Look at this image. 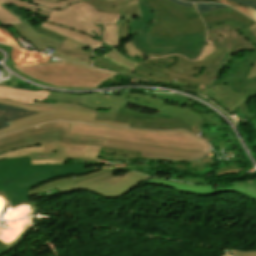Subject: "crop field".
Returning <instances> with one entry per match:
<instances>
[{"mask_svg": "<svg viewBox=\"0 0 256 256\" xmlns=\"http://www.w3.org/2000/svg\"><path fill=\"white\" fill-rule=\"evenodd\" d=\"M68 135L104 138L105 147L164 156L196 159L209 152L207 142L180 130L148 131L71 122Z\"/></svg>", "mask_w": 256, "mask_h": 256, "instance_id": "obj_1", "label": "crop field"}, {"mask_svg": "<svg viewBox=\"0 0 256 256\" xmlns=\"http://www.w3.org/2000/svg\"><path fill=\"white\" fill-rule=\"evenodd\" d=\"M85 165H31L30 157L12 158L0 161V190L11 205L22 200L29 201V188L52 178L70 174H84L99 168L84 169ZM103 168V167H102Z\"/></svg>", "mask_w": 256, "mask_h": 256, "instance_id": "obj_2", "label": "crop field"}, {"mask_svg": "<svg viewBox=\"0 0 256 256\" xmlns=\"http://www.w3.org/2000/svg\"><path fill=\"white\" fill-rule=\"evenodd\" d=\"M126 173L122 176H114L113 170H108L107 167L89 176H79L78 179H61L43 184L29 190V196L57 187L61 195L84 189L104 197L115 198L128 193L138 183L150 177L133 171H126Z\"/></svg>", "mask_w": 256, "mask_h": 256, "instance_id": "obj_3", "label": "crop field"}, {"mask_svg": "<svg viewBox=\"0 0 256 256\" xmlns=\"http://www.w3.org/2000/svg\"><path fill=\"white\" fill-rule=\"evenodd\" d=\"M239 30L240 28L226 25L208 33L207 45L197 59L202 60L201 76L209 79L206 86L213 84L212 79L221 74L231 55L241 51L256 50V47Z\"/></svg>", "mask_w": 256, "mask_h": 256, "instance_id": "obj_4", "label": "crop field"}, {"mask_svg": "<svg viewBox=\"0 0 256 256\" xmlns=\"http://www.w3.org/2000/svg\"><path fill=\"white\" fill-rule=\"evenodd\" d=\"M17 70L41 82L61 87L96 88L104 80L115 76L66 61L17 67Z\"/></svg>", "mask_w": 256, "mask_h": 256, "instance_id": "obj_5", "label": "crop field"}, {"mask_svg": "<svg viewBox=\"0 0 256 256\" xmlns=\"http://www.w3.org/2000/svg\"><path fill=\"white\" fill-rule=\"evenodd\" d=\"M70 122H49L0 138V153L23 146L53 142L101 146L103 139L67 136Z\"/></svg>", "mask_w": 256, "mask_h": 256, "instance_id": "obj_6", "label": "crop field"}, {"mask_svg": "<svg viewBox=\"0 0 256 256\" xmlns=\"http://www.w3.org/2000/svg\"><path fill=\"white\" fill-rule=\"evenodd\" d=\"M120 17V14L96 12L86 2H76L65 9L52 10L47 21L99 37L101 35L100 28L93 23L115 24Z\"/></svg>", "mask_w": 256, "mask_h": 256, "instance_id": "obj_7", "label": "crop field"}, {"mask_svg": "<svg viewBox=\"0 0 256 256\" xmlns=\"http://www.w3.org/2000/svg\"><path fill=\"white\" fill-rule=\"evenodd\" d=\"M117 97L130 100V104L159 111L158 115H166L185 121L191 127L196 126L197 122L203 120L205 125L222 124L223 121L210 111L188 101L187 107L180 108L173 105L164 104V100L153 96L139 93H126Z\"/></svg>", "mask_w": 256, "mask_h": 256, "instance_id": "obj_8", "label": "crop field"}, {"mask_svg": "<svg viewBox=\"0 0 256 256\" xmlns=\"http://www.w3.org/2000/svg\"><path fill=\"white\" fill-rule=\"evenodd\" d=\"M0 103L40 112L38 114L31 115V116L10 122L9 124L11 126L0 129V136L28 127V126L40 124V123L51 121V120H71V121H77V122L115 125V126H124V127H128L129 125V124L94 121L96 116L95 114H86V113L76 112L72 110L45 108V107H39L35 105H26V104L17 103V102L8 101V100H2V99H0Z\"/></svg>", "mask_w": 256, "mask_h": 256, "instance_id": "obj_9", "label": "crop field"}, {"mask_svg": "<svg viewBox=\"0 0 256 256\" xmlns=\"http://www.w3.org/2000/svg\"><path fill=\"white\" fill-rule=\"evenodd\" d=\"M100 148L101 147L54 143L23 147L5 152L0 154V159L22 156H31V160L56 158L99 159Z\"/></svg>", "mask_w": 256, "mask_h": 256, "instance_id": "obj_10", "label": "crop field"}, {"mask_svg": "<svg viewBox=\"0 0 256 256\" xmlns=\"http://www.w3.org/2000/svg\"><path fill=\"white\" fill-rule=\"evenodd\" d=\"M143 18H136L130 24V40L133 45L148 57H162L172 54H180L188 59L194 60L198 57L203 45L183 47V48H166V49H150L144 40V31L149 20H152L153 13L150 7L143 0H138Z\"/></svg>", "mask_w": 256, "mask_h": 256, "instance_id": "obj_11", "label": "crop field"}, {"mask_svg": "<svg viewBox=\"0 0 256 256\" xmlns=\"http://www.w3.org/2000/svg\"><path fill=\"white\" fill-rule=\"evenodd\" d=\"M198 126L200 127L201 131H203L211 141L210 144L218 154L219 158L221 155L220 148H223L224 153L233 151L236 156V157L228 158L229 160L225 161V156L223 154V158L221 160L225 162L221 164V166H219V169L217 168L213 169L215 174L218 176L225 173L239 172V168L236 162L246 163V161L238 145L236 144L234 138L232 137L230 131L228 130L227 126L225 124L214 125V126H204L203 122L198 123ZM215 158L216 160H218L216 155H215Z\"/></svg>", "mask_w": 256, "mask_h": 256, "instance_id": "obj_12", "label": "crop field"}, {"mask_svg": "<svg viewBox=\"0 0 256 256\" xmlns=\"http://www.w3.org/2000/svg\"><path fill=\"white\" fill-rule=\"evenodd\" d=\"M92 5L97 11L121 13L122 18L116 23L118 29V45L121 40L129 38V24L136 18L142 17L137 0H83Z\"/></svg>", "mask_w": 256, "mask_h": 256, "instance_id": "obj_13", "label": "crop field"}, {"mask_svg": "<svg viewBox=\"0 0 256 256\" xmlns=\"http://www.w3.org/2000/svg\"><path fill=\"white\" fill-rule=\"evenodd\" d=\"M115 122L130 123L129 127L133 128L162 130L186 129L193 132L189 125L178 119L138 113L122 107L119 108Z\"/></svg>", "mask_w": 256, "mask_h": 256, "instance_id": "obj_14", "label": "crop field"}, {"mask_svg": "<svg viewBox=\"0 0 256 256\" xmlns=\"http://www.w3.org/2000/svg\"><path fill=\"white\" fill-rule=\"evenodd\" d=\"M205 93L208 94L218 105L226 112L233 113L236 107H240L242 112L251 120L255 117L248 105L247 101L250 97L256 96V92H241L236 94L232 91L229 85L209 86L205 88ZM228 107L230 110H228Z\"/></svg>", "mask_w": 256, "mask_h": 256, "instance_id": "obj_15", "label": "crop field"}, {"mask_svg": "<svg viewBox=\"0 0 256 256\" xmlns=\"http://www.w3.org/2000/svg\"><path fill=\"white\" fill-rule=\"evenodd\" d=\"M205 30L201 18L190 20H178L169 17L154 23L150 34L159 39H174V35H187Z\"/></svg>", "mask_w": 256, "mask_h": 256, "instance_id": "obj_16", "label": "crop field"}, {"mask_svg": "<svg viewBox=\"0 0 256 256\" xmlns=\"http://www.w3.org/2000/svg\"><path fill=\"white\" fill-rule=\"evenodd\" d=\"M30 24V23H29ZM37 32L54 38L63 42L53 53L51 56L90 65L92 61V51H86L85 46L74 42L68 38H65L61 35L55 34L48 30L42 29L40 27H36L30 24Z\"/></svg>", "mask_w": 256, "mask_h": 256, "instance_id": "obj_17", "label": "crop field"}, {"mask_svg": "<svg viewBox=\"0 0 256 256\" xmlns=\"http://www.w3.org/2000/svg\"><path fill=\"white\" fill-rule=\"evenodd\" d=\"M48 99L70 103H80L86 107H92L101 110H109L111 105L127 107L128 104V100L98 93L84 96H76L70 94H60L51 92Z\"/></svg>", "mask_w": 256, "mask_h": 256, "instance_id": "obj_18", "label": "crop field"}, {"mask_svg": "<svg viewBox=\"0 0 256 256\" xmlns=\"http://www.w3.org/2000/svg\"><path fill=\"white\" fill-rule=\"evenodd\" d=\"M154 13L153 22L160 21L169 16L179 19L199 17L195 8L180 7L169 0H145Z\"/></svg>", "mask_w": 256, "mask_h": 256, "instance_id": "obj_19", "label": "crop field"}, {"mask_svg": "<svg viewBox=\"0 0 256 256\" xmlns=\"http://www.w3.org/2000/svg\"><path fill=\"white\" fill-rule=\"evenodd\" d=\"M205 34L206 30L188 36H175V40H159L149 33H145V39L151 48L183 47L205 43Z\"/></svg>", "mask_w": 256, "mask_h": 256, "instance_id": "obj_20", "label": "crop field"}, {"mask_svg": "<svg viewBox=\"0 0 256 256\" xmlns=\"http://www.w3.org/2000/svg\"><path fill=\"white\" fill-rule=\"evenodd\" d=\"M145 184H157V185L173 188L176 190H180L183 192H187L194 195H200V196L216 195V194L225 192V188L213 190L212 185L202 186V185L183 184V183L164 180L160 178H150L138 186L145 185Z\"/></svg>", "mask_w": 256, "mask_h": 256, "instance_id": "obj_21", "label": "crop field"}, {"mask_svg": "<svg viewBox=\"0 0 256 256\" xmlns=\"http://www.w3.org/2000/svg\"><path fill=\"white\" fill-rule=\"evenodd\" d=\"M14 27L22 37L28 40L39 52L43 53L44 48L47 47L56 49L61 44L59 41L37 33L27 22Z\"/></svg>", "mask_w": 256, "mask_h": 256, "instance_id": "obj_22", "label": "crop field"}, {"mask_svg": "<svg viewBox=\"0 0 256 256\" xmlns=\"http://www.w3.org/2000/svg\"><path fill=\"white\" fill-rule=\"evenodd\" d=\"M40 25L47 29H50L56 33H59L63 36H66L70 39H73L79 43H82L86 46L94 47V48H101V49L105 48V44L102 41H100L98 38L96 39L92 36L86 35L83 32L71 30L69 28L54 25V24L48 23V22H43Z\"/></svg>", "mask_w": 256, "mask_h": 256, "instance_id": "obj_23", "label": "crop field"}, {"mask_svg": "<svg viewBox=\"0 0 256 256\" xmlns=\"http://www.w3.org/2000/svg\"><path fill=\"white\" fill-rule=\"evenodd\" d=\"M48 94V91L32 92L0 87V98L9 99L26 104H33L34 100L46 102Z\"/></svg>", "mask_w": 256, "mask_h": 256, "instance_id": "obj_24", "label": "crop field"}, {"mask_svg": "<svg viewBox=\"0 0 256 256\" xmlns=\"http://www.w3.org/2000/svg\"><path fill=\"white\" fill-rule=\"evenodd\" d=\"M201 17L203 18L205 23L228 19V18H232V19H235L237 21H240V22H243V23H246L249 25L256 23L251 18L247 17L246 15H244L230 7L202 14Z\"/></svg>", "mask_w": 256, "mask_h": 256, "instance_id": "obj_25", "label": "crop field"}, {"mask_svg": "<svg viewBox=\"0 0 256 256\" xmlns=\"http://www.w3.org/2000/svg\"><path fill=\"white\" fill-rule=\"evenodd\" d=\"M11 57L15 64L18 66L44 63L47 62V60L49 59V56L41 55L15 47L13 48Z\"/></svg>", "mask_w": 256, "mask_h": 256, "instance_id": "obj_26", "label": "crop field"}, {"mask_svg": "<svg viewBox=\"0 0 256 256\" xmlns=\"http://www.w3.org/2000/svg\"><path fill=\"white\" fill-rule=\"evenodd\" d=\"M213 157H208L202 161H193L187 164H172L170 167L175 169L187 170L190 173L205 174L214 168Z\"/></svg>", "mask_w": 256, "mask_h": 256, "instance_id": "obj_27", "label": "crop field"}, {"mask_svg": "<svg viewBox=\"0 0 256 256\" xmlns=\"http://www.w3.org/2000/svg\"><path fill=\"white\" fill-rule=\"evenodd\" d=\"M35 113L37 112L0 104V128L9 126L7 122Z\"/></svg>", "mask_w": 256, "mask_h": 256, "instance_id": "obj_28", "label": "crop field"}, {"mask_svg": "<svg viewBox=\"0 0 256 256\" xmlns=\"http://www.w3.org/2000/svg\"><path fill=\"white\" fill-rule=\"evenodd\" d=\"M253 61L245 60L241 62L234 61L229 67L226 68L225 71L222 72L221 76H219L213 85L225 84L228 76L240 77L242 72H239L242 66L251 67L253 65Z\"/></svg>", "mask_w": 256, "mask_h": 256, "instance_id": "obj_29", "label": "crop field"}, {"mask_svg": "<svg viewBox=\"0 0 256 256\" xmlns=\"http://www.w3.org/2000/svg\"><path fill=\"white\" fill-rule=\"evenodd\" d=\"M226 192H236L256 200V180L235 182L232 188H226Z\"/></svg>", "mask_w": 256, "mask_h": 256, "instance_id": "obj_30", "label": "crop field"}, {"mask_svg": "<svg viewBox=\"0 0 256 256\" xmlns=\"http://www.w3.org/2000/svg\"><path fill=\"white\" fill-rule=\"evenodd\" d=\"M104 58H107L129 70H131L133 67H135L139 62L142 61L140 58H132L127 56H123L121 53H119L116 49L113 51H109L104 55Z\"/></svg>", "mask_w": 256, "mask_h": 256, "instance_id": "obj_31", "label": "crop field"}, {"mask_svg": "<svg viewBox=\"0 0 256 256\" xmlns=\"http://www.w3.org/2000/svg\"><path fill=\"white\" fill-rule=\"evenodd\" d=\"M233 25V26H237L242 28L240 31L241 33L246 36L250 42H252L255 46H256V42L254 40H256V38L254 37V35L249 31V29L247 27H249V25L234 21L232 19H228V20H223V21H218V22H213V23H208L206 24L208 27V31L220 26V25Z\"/></svg>", "mask_w": 256, "mask_h": 256, "instance_id": "obj_32", "label": "crop field"}, {"mask_svg": "<svg viewBox=\"0 0 256 256\" xmlns=\"http://www.w3.org/2000/svg\"><path fill=\"white\" fill-rule=\"evenodd\" d=\"M164 72L166 74L174 77L173 79L178 80L177 81L178 83L195 86V87H197V89H203L204 85L207 81L206 79H204L200 76H184V75L175 74L168 70H165Z\"/></svg>", "mask_w": 256, "mask_h": 256, "instance_id": "obj_33", "label": "crop field"}, {"mask_svg": "<svg viewBox=\"0 0 256 256\" xmlns=\"http://www.w3.org/2000/svg\"><path fill=\"white\" fill-rule=\"evenodd\" d=\"M2 3H9L11 5L24 8L26 10L32 11L34 13H37V14H40V15H43V16H46V17L49 16L50 11H51L49 9H45V8L36 6L34 4H31V3L23 1V0H0V5Z\"/></svg>", "mask_w": 256, "mask_h": 256, "instance_id": "obj_34", "label": "crop field"}, {"mask_svg": "<svg viewBox=\"0 0 256 256\" xmlns=\"http://www.w3.org/2000/svg\"><path fill=\"white\" fill-rule=\"evenodd\" d=\"M98 25V24H97ZM101 27L102 36L100 39L108 46L117 47V27L116 25H98Z\"/></svg>", "mask_w": 256, "mask_h": 256, "instance_id": "obj_35", "label": "crop field"}, {"mask_svg": "<svg viewBox=\"0 0 256 256\" xmlns=\"http://www.w3.org/2000/svg\"><path fill=\"white\" fill-rule=\"evenodd\" d=\"M93 66L99 67L102 69L107 68V70H111V71L118 72L125 75L129 72L128 70L122 68L121 66L107 59L101 58L95 54H94Z\"/></svg>", "mask_w": 256, "mask_h": 256, "instance_id": "obj_36", "label": "crop field"}, {"mask_svg": "<svg viewBox=\"0 0 256 256\" xmlns=\"http://www.w3.org/2000/svg\"><path fill=\"white\" fill-rule=\"evenodd\" d=\"M131 71L139 73L143 76H146L150 79L155 80L156 82L163 83L169 85L173 79L165 77L163 75H160L152 70H149L147 68L141 67L137 65L135 68H133Z\"/></svg>", "mask_w": 256, "mask_h": 256, "instance_id": "obj_37", "label": "crop field"}, {"mask_svg": "<svg viewBox=\"0 0 256 256\" xmlns=\"http://www.w3.org/2000/svg\"><path fill=\"white\" fill-rule=\"evenodd\" d=\"M34 104L39 106H45V107L72 109V110L86 112V113H96V110L91 108H86L80 104H70V103H64V102H58V101L56 102V104L40 103L35 101Z\"/></svg>", "mask_w": 256, "mask_h": 256, "instance_id": "obj_38", "label": "crop field"}, {"mask_svg": "<svg viewBox=\"0 0 256 256\" xmlns=\"http://www.w3.org/2000/svg\"><path fill=\"white\" fill-rule=\"evenodd\" d=\"M177 55L169 56L166 58H161V59H143L141 63L149 64V65H154L162 68H169L172 65L178 63V60L176 58Z\"/></svg>", "mask_w": 256, "mask_h": 256, "instance_id": "obj_39", "label": "crop field"}, {"mask_svg": "<svg viewBox=\"0 0 256 256\" xmlns=\"http://www.w3.org/2000/svg\"><path fill=\"white\" fill-rule=\"evenodd\" d=\"M20 23L23 22L0 6V25L10 26Z\"/></svg>", "mask_w": 256, "mask_h": 256, "instance_id": "obj_40", "label": "crop field"}, {"mask_svg": "<svg viewBox=\"0 0 256 256\" xmlns=\"http://www.w3.org/2000/svg\"><path fill=\"white\" fill-rule=\"evenodd\" d=\"M26 1L32 2L36 5H39V6H42L45 8H49V9H60V8H64L65 6H67L71 3H74L76 1H82V0H62L58 3H45V2H39L36 0H26Z\"/></svg>", "mask_w": 256, "mask_h": 256, "instance_id": "obj_41", "label": "crop field"}, {"mask_svg": "<svg viewBox=\"0 0 256 256\" xmlns=\"http://www.w3.org/2000/svg\"><path fill=\"white\" fill-rule=\"evenodd\" d=\"M119 107H111L110 111L97 110L95 120L114 122Z\"/></svg>", "mask_w": 256, "mask_h": 256, "instance_id": "obj_42", "label": "crop field"}, {"mask_svg": "<svg viewBox=\"0 0 256 256\" xmlns=\"http://www.w3.org/2000/svg\"><path fill=\"white\" fill-rule=\"evenodd\" d=\"M250 68L247 67H242L241 71H243L241 78H234V77H229L227 83H229L231 89H233L235 92L239 93L242 86L240 85L241 79H245L247 76L248 71ZM226 83V84H227Z\"/></svg>", "mask_w": 256, "mask_h": 256, "instance_id": "obj_43", "label": "crop field"}, {"mask_svg": "<svg viewBox=\"0 0 256 256\" xmlns=\"http://www.w3.org/2000/svg\"><path fill=\"white\" fill-rule=\"evenodd\" d=\"M168 70H171L175 73L185 74V75H200L201 73V68L189 69V68L182 67L179 63L169 68Z\"/></svg>", "mask_w": 256, "mask_h": 256, "instance_id": "obj_44", "label": "crop field"}, {"mask_svg": "<svg viewBox=\"0 0 256 256\" xmlns=\"http://www.w3.org/2000/svg\"><path fill=\"white\" fill-rule=\"evenodd\" d=\"M249 58H251L253 61H256V51L237 53L230 58L226 66H229L234 60L241 61Z\"/></svg>", "mask_w": 256, "mask_h": 256, "instance_id": "obj_45", "label": "crop field"}, {"mask_svg": "<svg viewBox=\"0 0 256 256\" xmlns=\"http://www.w3.org/2000/svg\"><path fill=\"white\" fill-rule=\"evenodd\" d=\"M0 42L21 47L12 34L4 28H0Z\"/></svg>", "mask_w": 256, "mask_h": 256, "instance_id": "obj_46", "label": "crop field"}, {"mask_svg": "<svg viewBox=\"0 0 256 256\" xmlns=\"http://www.w3.org/2000/svg\"><path fill=\"white\" fill-rule=\"evenodd\" d=\"M199 13H205V12H209L215 9H219V8H223V7H227L224 6L222 4H213V3H195Z\"/></svg>", "mask_w": 256, "mask_h": 256, "instance_id": "obj_47", "label": "crop field"}, {"mask_svg": "<svg viewBox=\"0 0 256 256\" xmlns=\"http://www.w3.org/2000/svg\"><path fill=\"white\" fill-rule=\"evenodd\" d=\"M222 1L223 3L227 4V5H230L238 10H240L241 12L245 13L246 15H248L249 17L253 18L254 20H256V11L249 8V7H242V6H239V5H236L230 1H227V0H220Z\"/></svg>", "mask_w": 256, "mask_h": 256, "instance_id": "obj_48", "label": "crop field"}, {"mask_svg": "<svg viewBox=\"0 0 256 256\" xmlns=\"http://www.w3.org/2000/svg\"><path fill=\"white\" fill-rule=\"evenodd\" d=\"M241 85L243 86L241 91H256V78L242 80Z\"/></svg>", "mask_w": 256, "mask_h": 256, "instance_id": "obj_49", "label": "crop field"}, {"mask_svg": "<svg viewBox=\"0 0 256 256\" xmlns=\"http://www.w3.org/2000/svg\"><path fill=\"white\" fill-rule=\"evenodd\" d=\"M137 157H143L145 159H163L167 161H183V160H189V159H180V158H174V157H164V156H158V155H151V154H145L142 153L141 156Z\"/></svg>", "mask_w": 256, "mask_h": 256, "instance_id": "obj_50", "label": "crop field"}, {"mask_svg": "<svg viewBox=\"0 0 256 256\" xmlns=\"http://www.w3.org/2000/svg\"><path fill=\"white\" fill-rule=\"evenodd\" d=\"M177 58L180 61L181 65L185 67H190V68L201 67V61H188L187 59L181 56H177Z\"/></svg>", "mask_w": 256, "mask_h": 256, "instance_id": "obj_51", "label": "crop field"}, {"mask_svg": "<svg viewBox=\"0 0 256 256\" xmlns=\"http://www.w3.org/2000/svg\"><path fill=\"white\" fill-rule=\"evenodd\" d=\"M124 49L127 51L129 54L133 56H140V57H146L144 56L143 53L139 52L132 44L131 42L124 43Z\"/></svg>", "mask_w": 256, "mask_h": 256, "instance_id": "obj_52", "label": "crop field"}, {"mask_svg": "<svg viewBox=\"0 0 256 256\" xmlns=\"http://www.w3.org/2000/svg\"><path fill=\"white\" fill-rule=\"evenodd\" d=\"M249 29L251 30V32L256 36V24L249 27ZM252 77H256V62L254 63L253 67L251 68V70L249 71L248 74V78H252Z\"/></svg>", "mask_w": 256, "mask_h": 256, "instance_id": "obj_53", "label": "crop field"}, {"mask_svg": "<svg viewBox=\"0 0 256 256\" xmlns=\"http://www.w3.org/2000/svg\"><path fill=\"white\" fill-rule=\"evenodd\" d=\"M242 6H250L256 10V1H245V0H230Z\"/></svg>", "mask_w": 256, "mask_h": 256, "instance_id": "obj_54", "label": "crop field"}, {"mask_svg": "<svg viewBox=\"0 0 256 256\" xmlns=\"http://www.w3.org/2000/svg\"><path fill=\"white\" fill-rule=\"evenodd\" d=\"M237 123V122H236ZM240 123H237V129L239 130L240 132V135L242 136L243 140L245 141V143L247 144L248 148L251 147L252 144H250L248 142V139L250 138V135L247 134L244 130L240 129Z\"/></svg>", "mask_w": 256, "mask_h": 256, "instance_id": "obj_55", "label": "crop field"}, {"mask_svg": "<svg viewBox=\"0 0 256 256\" xmlns=\"http://www.w3.org/2000/svg\"><path fill=\"white\" fill-rule=\"evenodd\" d=\"M32 164H62L64 165V160H43V161H31Z\"/></svg>", "mask_w": 256, "mask_h": 256, "instance_id": "obj_56", "label": "crop field"}, {"mask_svg": "<svg viewBox=\"0 0 256 256\" xmlns=\"http://www.w3.org/2000/svg\"><path fill=\"white\" fill-rule=\"evenodd\" d=\"M228 251H230L235 256H256V251L246 252V253L239 252V251H234V250H230V249Z\"/></svg>", "mask_w": 256, "mask_h": 256, "instance_id": "obj_57", "label": "crop field"}, {"mask_svg": "<svg viewBox=\"0 0 256 256\" xmlns=\"http://www.w3.org/2000/svg\"><path fill=\"white\" fill-rule=\"evenodd\" d=\"M139 65L144 66V67H147V68L152 69V70H154V71H156V72H158V73H160V74L165 75V74L163 73L164 69H162V68L153 67V66H149V65H145V64H141V63H139ZM165 76H167V75H165ZM168 77H170V76H168ZM171 78H172V77H171Z\"/></svg>", "mask_w": 256, "mask_h": 256, "instance_id": "obj_58", "label": "crop field"}, {"mask_svg": "<svg viewBox=\"0 0 256 256\" xmlns=\"http://www.w3.org/2000/svg\"><path fill=\"white\" fill-rule=\"evenodd\" d=\"M1 6H3L5 9H7L8 11H10L12 14H14L15 16H17L18 18H20L22 21H27L24 17H22L19 13H17L16 11L12 10L11 8H9L8 6H6L5 4H2Z\"/></svg>", "mask_w": 256, "mask_h": 256, "instance_id": "obj_59", "label": "crop field"}, {"mask_svg": "<svg viewBox=\"0 0 256 256\" xmlns=\"http://www.w3.org/2000/svg\"><path fill=\"white\" fill-rule=\"evenodd\" d=\"M234 113H235L236 117H238V118L241 117L242 119H244L248 122H251V120L247 119L246 116L241 112L240 108L235 109Z\"/></svg>", "mask_w": 256, "mask_h": 256, "instance_id": "obj_60", "label": "crop field"}, {"mask_svg": "<svg viewBox=\"0 0 256 256\" xmlns=\"http://www.w3.org/2000/svg\"><path fill=\"white\" fill-rule=\"evenodd\" d=\"M176 4H179L181 6H188V7H194V5L192 3H185L183 1H179V0H170Z\"/></svg>", "mask_w": 256, "mask_h": 256, "instance_id": "obj_61", "label": "crop field"}, {"mask_svg": "<svg viewBox=\"0 0 256 256\" xmlns=\"http://www.w3.org/2000/svg\"><path fill=\"white\" fill-rule=\"evenodd\" d=\"M127 75L133 76V77H137V78H141V79H145V80H149V79H147V78H145V77H143V76H141L139 74L133 73L131 71ZM149 81H152V80H149ZM153 82H155V81H153Z\"/></svg>", "mask_w": 256, "mask_h": 256, "instance_id": "obj_62", "label": "crop field"}, {"mask_svg": "<svg viewBox=\"0 0 256 256\" xmlns=\"http://www.w3.org/2000/svg\"><path fill=\"white\" fill-rule=\"evenodd\" d=\"M183 1H192V2H219L217 0H183Z\"/></svg>", "mask_w": 256, "mask_h": 256, "instance_id": "obj_63", "label": "crop field"}, {"mask_svg": "<svg viewBox=\"0 0 256 256\" xmlns=\"http://www.w3.org/2000/svg\"><path fill=\"white\" fill-rule=\"evenodd\" d=\"M252 122H253V124H254V130H255V132H256V118L253 119ZM255 146H256V145H253V146L250 148V150H251L252 148H254Z\"/></svg>", "mask_w": 256, "mask_h": 256, "instance_id": "obj_64", "label": "crop field"}, {"mask_svg": "<svg viewBox=\"0 0 256 256\" xmlns=\"http://www.w3.org/2000/svg\"><path fill=\"white\" fill-rule=\"evenodd\" d=\"M181 88H185V89L197 91V92H200V93H203V94H204L203 90H196V89H193V88H186V87H181Z\"/></svg>", "mask_w": 256, "mask_h": 256, "instance_id": "obj_65", "label": "crop field"}, {"mask_svg": "<svg viewBox=\"0 0 256 256\" xmlns=\"http://www.w3.org/2000/svg\"><path fill=\"white\" fill-rule=\"evenodd\" d=\"M142 173H147L154 176L156 175V172H152V171H143Z\"/></svg>", "mask_w": 256, "mask_h": 256, "instance_id": "obj_66", "label": "crop field"}, {"mask_svg": "<svg viewBox=\"0 0 256 256\" xmlns=\"http://www.w3.org/2000/svg\"><path fill=\"white\" fill-rule=\"evenodd\" d=\"M224 256H232V255L227 252Z\"/></svg>", "mask_w": 256, "mask_h": 256, "instance_id": "obj_67", "label": "crop field"}, {"mask_svg": "<svg viewBox=\"0 0 256 256\" xmlns=\"http://www.w3.org/2000/svg\"><path fill=\"white\" fill-rule=\"evenodd\" d=\"M241 176V175H240ZM240 176H238V177H240Z\"/></svg>", "mask_w": 256, "mask_h": 256, "instance_id": "obj_68", "label": "crop field"}]
</instances>
